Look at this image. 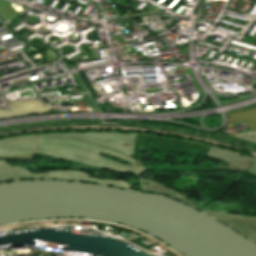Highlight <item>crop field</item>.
<instances>
[{
    "instance_id": "obj_2",
    "label": "crop field",
    "mask_w": 256,
    "mask_h": 256,
    "mask_svg": "<svg viewBox=\"0 0 256 256\" xmlns=\"http://www.w3.org/2000/svg\"><path fill=\"white\" fill-rule=\"evenodd\" d=\"M231 123L246 121L252 131H256V108L228 115Z\"/></svg>"
},
{
    "instance_id": "obj_1",
    "label": "crop field",
    "mask_w": 256,
    "mask_h": 256,
    "mask_svg": "<svg viewBox=\"0 0 256 256\" xmlns=\"http://www.w3.org/2000/svg\"><path fill=\"white\" fill-rule=\"evenodd\" d=\"M9 103L13 110H1L0 116L15 115V114H21V113H28V112L48 111L50 109L47 107H43L42 102L36 101V100L15 101V102H9ZM40 113H45V112L29 113V114H40ZM29 114H21V115H29ZM21 115L0 117V118L16 117Z\"/></svg>"
}]
</instances>
